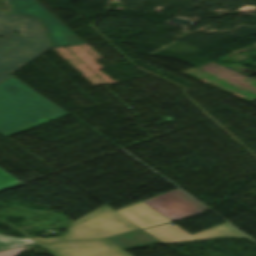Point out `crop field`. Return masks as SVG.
Here are the masks:
<instances>
[{"instance_id": "f4fd0767", "label": "crop field", "mask_w": 256, "mask_h": 256, "mask_svg": "<svg viewBox=\"0 0 256 256\" xmlns=\"http://www.w3.org/2000/svg\"><path fill=\"white\" fill-rule=\"evenodd\" d=\"M143 202L171 221L190 217L207 209L179 189Z\"/></svg>"}, {"instance_id": "5a996713", "label": "crop field", "mask_w": 256, "mask_h": 256, "mask_svg": "<svg viewBox=\"0 0 256 256\" xmlns=\"http://www.w3.org/2000/svg\"><path fill=\"white\" fill-rule=\"evenodd\" d=\"M27 243H34L29 238L19 239L8 236L0 235V250H4L6 248L16 247Z\"/></svg>"}, {"instance_id": "dd49c442", "label": "crop field", "mask_w": 256, "mask_h": 256, "mask_svg": "<svg viewBox=\"0 0 256 256\" xmlns=\"http://www.w3.org/2000/svg\"><path fill=\"white\" fill-rule=\"evenodd\" d=\"M39 245L53 256H131L107 239Z\"/></svg>"}, {"instance_id": "412701ff", "label": "crop field", "mask_w": 256, "mask_h": 256, "mask_svg": "<svg viewBox=\"0 0 256 256\" xmlns=\"http://www.w3.org/2000/svg\"><path fill=\"white\" fill-rule=\"evenodd\" d=\"M12 13L41 19L52 47L84 43L36 0H7Z\"/></svg>"}, {"instance_id": "ac0d7876", "label": "crop field", "mask_w": 256, "mask_h": 256, "mask_svg": "<svg viewBox=\"0 0 256 256\" xmlns=\"http://www.w3.org/2000/svg\"><path fill=\"white\" fill-rule=\"evenodd\" d=\"M0 82L50 49L39 20L0 12Z\"/></svg>"}, {"instance_id": "28ad6ade", "label": "crop field", "mask_w": 256, "mask_h": 256, "mask_svg": "<svg viewBox=\"0 0 256 256\" xmlns=\"http://www.w3.org/2000/svg\"><path fill=\"white\" fill-rule=\"evenodd\" d=\"M25 247L26 246L20 247V248H16V249H12V250L2 251V252H0V256H16Z\"/></svg>"}, {"instance_id": "d8731c3e", "label": "crop field", "mask_w": 256, "mask_h": 256, "mask_svg": "<svg viewBox=\"0 0 256 256\" xmlns=\"http://www.w3.org/2000/svg\"><path fill=\"white\" fill-rule=\"evenodd\" d=\"M116 212L141 228L169 222L168 219L142 202Z\"/></svg>"}, {"instance_id": "34b2d1b8", "label": "crop field", "mask_w": 256, "mask_h": 256, "mask_svg": "<svg viewBox=\"0 0 256 256\" xmlns=\"http://www.w3.org/2000/svg\"><path fill=\"white\" fill-rule=\"evenodd\" d=\"M140 229L130 221L103 206L73 222L64 237L31 238L37 243L107 238L132 230Z\"/></svg>"}, {"instance_id": "8a807250", "label": "crop field", "mask_w": 256, "mask_h": 256, "mask_svg": "<svg viewBox=\"0 0 256 256\" xmlns=\"http://www.w3.org/2000/svg\"><path fill=\"white\" fill-rule=\"evenodd\" d=\"M17 80L12 76L0 84L2 135L7 137L68 115Z\"/></svg>"}, {"instance_id": "3316defc", "label": "crop field", "mask_w": 256, "mask_h": 256, "mask_svg": "<svg viewBox=\"0 0 256 256\" xmlns=\"http://www.w3.org/2000/svg\"><path fill=\"white\" fill-rule=\"evenodd\" d=\"M17 179L0 169V189L19 183Z\"/></svg>"}, {"instance_id": "d1516ede", "label": "crop field", "mask_w": 256, "mask_h": 256, "mask_svg": "<svg viewBox=\"0 0 256 256\" xmlns=\"http://www.w3.org/2000/svg\"><path fill=\"white\" fill-rule=\"evenodd\" d=\"M0 9L11 11L6 0H0Z\"/></svg>"}, {"instance_id": "e52e79f7", "label": "crop field", "mask_w": 256, "mask_h": 256, "mask_svg": "<svg viewBox=\"0 0 256 256\" xmlns=\"http://www.w3.org/2000/svg\"><path fill=\"white\" fill-rule=\"evenodd\" d=\"M145 232L155 237L164 244L214 239V238H238L245 237L234 228L224 223L209 230L195 234L193 236L174 225L169 224L144 229Z\"/></svg>"}]
</instances>
